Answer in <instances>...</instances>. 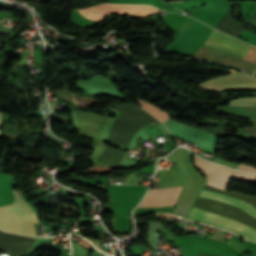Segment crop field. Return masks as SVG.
Segmentation results:
<instances>
[{
    "mask_svg": "<svg viewBox=\"0 0 256 256\" xmlns=\"http://www.w3.org/2000/svg\"><path fill=\"white\" fill-rule=\"evenodd\" d=\"M253 73H256V68H254V70L252 71Z\"/></svg>",
    "mask_w": 256,
    "mask_h": 256,
    "instance_id": "12",
    "label": "crop field"
},
{
    "mask_svg": "<svg viewBox=\"0 0 256 256\" xmlns=\"http://www.w3.org/2000/svg\"><path fill=\"white\" fill-rule=\"evenodd\" d=\"M137 101L139 102L140 106L145 109L148 113H150L152 116H154L155 118H157L159 121H161L162 123L169 118V115H167L166 113H164L162 110L140 100L137 99Z\"/></svg>",
    "mask_w": 256,
    "mask_h": 256,
    "instance_id": "8",
    "label": "crop field"
},
{
    "mask_svg": "<svg viewBox=\"0 0 256 256\" xmlns=\"http://www.w3.org/2000/svg\"><path fill=\"white\" fill-rule=\"evenodd\" d=\"M193 206L226 217L237 219L244 223L245 225H247L248 227L256 229V219L252 218L251 216H249L247 213L240 209L200 197H197ZM197 208L192 207L188 215V218H192L195 220H199L202 222H206L209 224L229 229L231 231H234L241 237L256 241V230H252L236 220L216 215L210 212H206Z\"/></svg>",
    "mask_w": 256,
    "mask_h": 256,
    "instance_id": "1",
    "label": "crop field"
},
{
    "mask_svg": "<svg viewBox=\"0 0 256 256\" xmlns=\"http://www.w3.org/2000/svg\"><path fill=\"white\" fill-rule=\"evenodd\" d=\"M15 202L0 207V228L35 236L34 224H40L35 212L14 192Z\"/></svg>",
    "mask_w": 256,
    "mask_h": 256,
    "instance_id": "2",
    "label": "crop field"
},
{
    "mask_svg": "<svg viewBox=\"0 0 256 256\" xmlns=\"http://www.w3.org/2000/svg\"><path fill=\"white\" fill-rule=\"evenodd\" d=\"M234 178L256 184V175L254 174L236 171Z\"/></svg>",
    "mask_w": 256,
    "mask_h": 256,
    "instance_id": "9",
    "label": "crop field"
},
{
    "mask_svg": "<svg viewBox=\"0 0 256 256\" xmlns=\"http://www.w3.org/2000/svg\"><path fill=\"white\" fill-rule=\"evenodd\" d=\"M238 169L256 173V168L240 163Z\"/></svg>",
    "mask_w": 256,
    "mask_h": 256,
    "instance_id": "10",
    "label": "crop field"
},
{
    "mask_svg": "<svg viewBox=\"0 0 256 256\" xmlns=\"http://www.w3.org/2000/svg\"><path fill=\"white\" fill-rule=\"evenodd\" d=\"M197 85L210 91L243 90V89L256 90V77L235 72L233 74L214 78L209 81L199 83ZM230 103L231 105H235V106H256V97L239 98V99L230 101Z\"/></svg>",
    "mask_w": 256,
    "mask_h": 256,
    "instance_id": "3",
    "label": "crop field"
},
{
    "mask_svg": "<svg viewBox=\"0 0 256 256\" xmlns=\"http://www.w3.org/2000/svg\"><path fill=\"white\" fill-rule=\"evenodd\" d=\"M196 166L207 178V185L225 190L233 170L219 165L208 163L198 157H195Z\"/></svg>",
    "mask_w": 256,
    "mask_h": 256,
    "instance_id": "5",
    "label": "crop field"
},
{
    "mask_svg": "<svg viewBox=\"0 0 256 256\" xmlns=\"http://www.w3.org/2000/svg\"><path fill=\"white\" fill-rule=\"evenodd\" d=\"M182 187L150 190L139 207L174 206Z\"/></svg>",
    "mask_w": 256,
    "mask_h": 256,
    "instance_id": "7",
    "label": "crop field"
},
{
    "mask_svg": "<svg viewBox=\"0 0 256 256\" xmlns=\"http://www.w3.org/2000/svg\"><path fill=\"white\" fill-rule=\"evenodd\" d=\"M197 256H213V255H207V254H201V253H198Z\"/></svg>",
    "mask_w": 256,
    "mask_h": 256,
    "instance_id": "11",
    "label": "crop field"
},
{
    "mask_svg": "<svg viewBox=\"0 0 256 256\" xmlns=\"http://www.w3.org/2000/svg\"><path fill=\"white\" fill-rule=\"evenodd\" d=\"M204 190H208V191H211V192H215V193H218V194H222V195H226V196H229V197H233V198H236V199L243 200V201L249 203L250 205H252L256 208V197L237 194V193H232V192H228V191H222L220 189L209 187V186H205ZM204 190H202V192L200 194L201 197H206V198L215 199V200L230 203L232 205H235L237 207L242 208L245 212L249 213L250 215H252L256 218V209L254 207L250 206L249 204H247L243 201H239V200H236V199H233V198L218 195V194L211 193V192L204 191Z\"/></svg>",
    "mask_w": 256,
    "mask_h": 256,
    "instance_id": "4",
    "label": "crop field"
},
{
    "mask_svg": "<svg viewBox=\"0 0 256 256\" xmlns=\"http://www.w3.org/2000/svg\"><path fill=\"white\" fill-rule=\"evenodd\" d=\"M204 45L217 48L241 57H243V55L250 47L249 45L230 38L214 29L204 42Z\"/></svg>",
    "mask_w": 256,
    "mask_h": 256,
    "instance_id": "6",
    "label": "crop field"
}]
</instances>
